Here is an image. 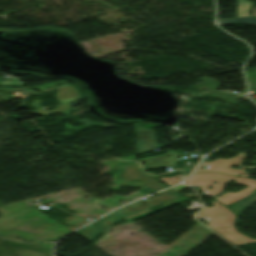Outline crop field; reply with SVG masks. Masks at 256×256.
<instances>
[{"mask_svg": "<svg viewBox=\"0 0 256 256\" xmlns=\"http://www.w3.org/2000/svg\"><path fill=\"white\" fill-rule=\"evenodd\" d=\"M138 164V163H137ZM138 166H139V169L142 171V169H141V167H140V165L138 164ZM149 175V174H148ZM151 176H153V177H155V178H157V177H159V176H155V175H151Z\"/></svg>", "mask_w": 256, "mask_h": 256, "instance_id": "obj_20", "label": "crop field"}, {"mask_svg": "<svg viewBox=\"0 0 256 256\" xmlns=\"http://www.w3.org/2000/svg\"><path fill=\"white\" fill-rule=\"evenodd\" d=\"M138 141L136 142L137 155L156 149L155 134L153 131L135 127Z\"/></svg>", "mask_w": 256, "mask_h": 256, "instance_id": "obj_5", "label": "crop field"}, {"mask_svg": "<svg viewBox=\"0 0 256 256\" xmlns=\"http://www.w3.org/2000/svg\"><path fill=\"white\" fill-rule=\"evenodd\" d=\"M231 179L237 180L236 182L249 185L248 187L244 188L243 190L237 193L228 192L227 194L217 198L215 197L222 191V187L224 184H218L216 192L200 189L207 193L209 196H213L216 200L222 202L225 205H228L252 192L253 189L256 188V181L244 178H237L233 176H228L224 174H217V173H200V174H192L189 179L187 180L186 184L189 186H204L207 187L209 181L214 182H229ZM212 187H208L211 189Z\"/></svg>", "mask_w": 256, "mask_h": 256, "instance_id": "obj_1", "label": "crop field"}, {"mask_svg": "<svg viewBox=\"0 0 256 256\" xmlns=\"http://www.w3.org/2000/svg\"><path fill=\"white\" fill-rule=\"evenodd\" d=\"M40 103H41L40 101L35 100V102L31 104V106H33L34 108L37 109L39 107Z\"/></svg>", "mask_w": 256, "mask_h": 256, "instance_id": "obj_14", "label": "crop field"}, {"mask_svg": "<svg viewBox=\"0 0 256 256\" xmlns=\"http://www.w3.org/2000/svg\"><path fill=\"white\" fill-rule=\"evenodd\" d=\"M186 197H193V196H197V195H194V194H188V195H184Z\"/></svg>", "mask_w": 256, "mask_h": 256, "instance_id": "obj_18", "label": "crop field"}, {"mask_svg": "<svg viewBox=\"0 0 256 256\" xmlns=\"http://www.w3.org/2000/svg\"><path fill=\"white\" fill-rule=\"evenodd\" d=\"M211 209H220V208H218V207H216L215 205H213L211 208H205V209H203V210H211ZM200 214V213H199Z\"/></svg>", "mask_w": 256, "mask_h": 256, "instance_id": "obj_16", "label": "crop field"}, {"mask_svg": "<svg viewBox=\"0 0 256 256\" xmlns=\"http://www.w3.org/2000/svg\"><path fill=\"white\" fill-rule=\"evenodd\" d=\"M243 158H245V157L243 155V152H241V153L237 154L236 158H233V159L224 160L222 158H218V159L213 160L210 163L202 161V163L199 164V166L197 167V169L194 172L217 171V172L229 173V174H233V175H237L238 173H243L241 176L246 177L249 174H251L252 172H250L247 175L244 174L245 172H243V167L240 164L241 160ZM202 165H208L207 169L201 170ZM232 165H238L242 169L229 168ZM224 168H226V170H224ZM249 168H255V167H249Z\"/></svg>", "mask_w": 256, "mask_h": 256, "instance_id": "obj_4", "label": "crop field"}, {"mask_svg": "<svg viewBox=\"0 0 256 256\" xmlns=\"http://www.w3.org/2000/svg\"><path fill=\"white\" fill-rule=\"evenodd\" d=\"M181 188H184V186L183 185L176 186V187L172 188V190L177 191V190H179Z\"/></svg>", "mask_w": 256, "mask_h": 256, "instance_id": "obj_15", "label": "crop field"}, {"mask_svg": "<svg viewBox=\"0 0 256 256\" xmlns=\"http://www.w3.org/2000/svg\"><path fill=\"white\" fill-rule=\"evenodd\" d=\"M223 210H211V211H202L201 215H197V218H207L208 225L221 234L224 238L230 241L232 244H245L249 242H256L249 237L239 233L234 229V215L224 206L218 204L217 202H211ZM231 226L232 228H220L215 229V227H227Z\"/></svg>", "mask_w": 256, "mask_h": 256, "instance_id": "obj_2", "label": "crop field"}, {"mask_svg": "<svg viewBox=\"0 0 256 256\" xmlns=\"http://www.w3.org/2000/svg\"><path fill=\"white\" fill-rule=\"evenodd\" d=\"M217 184H218V183H217ZM217 184L214 185V184H212V182H210L209 186H213V188H212L211 190H214V189L216 188ZM201 188H203V187H201ZM206 189H207V188H206Z\"/></svg>", "mask_w": 256, "mask_h": 256, "instance_id": "obj_17", "label": "crop field"}, {"mask_svg": "<svg viewBox=\"0 0 256 256\" xmlns=\"http://www.w3.org/2000/svg\"><path fill=\"white\" fill-rule=\"evenodd\" d=\"M180 177V180H176L175 178ZM184 179L183 175H177V176H172L170 178H161L160 181H165L168 185L176 184L181 182Z\"/></svg>", "mask_w": 256, "mask_h": 256, "instance_id": "obj_12", "label": "crop field"}, {"mask_svg": "<svg viewBox=\"0 0 256 256\" xmlns=\"http://www.w3.org/2000/svg\"><path fill=\"white\" fill-rule=\"evenodd\" d=\"M252 90H256V87L252 86Z\"/></svg>", "mask_w": 256, "mask_h": 256, "instance_id": "obj_21", "label": "crop field"}, {"mask_svg": "<svg viewBox=\"0 0 256 256\" xmlns=\"http://www.w3.org/2000/svg\"><path fill=\"white\" fill-rule=\"evenodd\" d=\"M169 192L170 191H168V190L160 192V193H158V196L155 197L154 199L144 201L147 204H145L143 206H140V207H137L135 209H133L131 207H128V206H125L120 211L108 215L110 218L99 221V222H97L95 224H92L88 227H90V228H92L95 231L100 233L105 226H107V225H109V224H111V223H113V222H115V221H117V220H119V219H121L125 216H128V215L134 214L136 212L154 207L156 205H159L160 202H165V201L177 199L176 197L168 196Z\"/></svg>", "mask_w": 256, "mask_h": 256, "instance_id": "obj_3", "label": "crop field"}, {"mask_svg": "<svg viewBox=\"0 0 256 256\" xmlns=\"http://www.w3.org/2000/svg\"><path fill=\"white\" fill-rule=\"evenodd\" d=\"M242 2H244V17H242ZM250 7V2L245 0H237V19L234 20H217L218 25L245 23L256 25V18H252L248 15L247 11Z\"/></svg>", "mask_w": 256, "mask_h": 256, "instance_id": "obj_7", "label": "crop field"}, {"mask_svg": "<svg viewBox=\"0 0 256 256\" xmlns=\"http://www.w3.org/2000/svg\"><path fill=\"white\" fill-rule=\"evenodd\" d=\"M57 90L56 97L61 104L83 99L73 86L58 88ZM70 96L74 98H70Z\"/></svg>", "mask_w": 256, "mask_h": 256, "instance_id": "obj_9", "label": "crop field"}, {"mask_svg": "<svg viewBox=\"0 0 256 256\" xmlns=\"http://www.w3.org/2000/svg\"><path fill=\"white\" fill-rule=\"evenodd\" d=\"M76 233H78L79 235H81V236H83V237H85V238H87L89 240L94 238L97 234H99V233L93 231L92 229H90L88 227H85V228L79 230Z\"/></svg>", "mask_w": 256, "mask_h": 256, "instance_id": "obj_10", "label": "crop field"}, {"mask_svg": "<svg viewBox=\"0 0 256 256\" xmlns=\"http://www.w3.org/2000/svg\"><path fill=\"white\" fill-rule=\"evenodd\" d=\"M69 108H70V106L68 104V105L58 106L57 109L52 110V111H44V110L39 109L35 113L46 116V115H49V114H52V113H55V112H59V111H62V110H66V109H69Z\"/></svg>", "mask_w": 256, "mask_h": 256, "instance_id": "obj_11", "label": "crop field"}, {"mask_svg": "<svg viewBox=\"0 0 256 256\" xmlns=\"http://www.w3.org/2000/svg\"><path fill=\"white\" fill-rule=\"evenodd\" d=\"M238 97H239V95L236 96V98H238Z\"/></svg>", "mask_w": 256, "mask_h": 256, "instance_id": "obj_22", "label": "crop field"}, {"mask_svg": "<svg viewBox=\"0 0 256 256\" xmlns=\"http://www.w3.org/2000/svg\"><path fill=\"white\" fill-rule=\"evenodd\" d=\"M202 208V205H200L197 202H192L191 207L185 208V210H192V209H199Z\"/></svg>", "mask_w": 256, "mask_h": 256, "instance_id": "obj_13", "label": "crop field"}, {"mask_svg": "<svg viewBox=\"0 0 256 256\" xmlns=\"http://www.w3.org/2000/svg\"><path fill=\"white\" fill-rule=\"evenodd\" d=\"M169 154L171 156L168 158L164 157L165 155H161L153 158L142 159L139 161V163H143V162L148 163L150 166H145V167L150 169H159L166 166L174 167L173 163H176L175 158L178 155L175 154L174 151H170Z\"/></svg>", "mask_w": 256, "mask_h": 256, "instance_id": "obj_8", "label": "crop field"}, {"mask_svg": "<svg viewBox=\"0 0 256 256\" xmlns=\"http://www.w3.org/2000/svg\"><path fill=\"white\" fill-rule=\"evenodd\" d=\"M120 177L123 178L125 182L133 179H139L140 181H142L144 184H146L148 187H150L152 190H155V191L166 188L160 185L158 181L155 180L154 178L148 177L140 173L135 165L124 169Z\"/></svg>", "mask_w": 256, "mask_h": 256, "instance_id": "obj_6", "label": "crop field"}, {"mask_svg": "<svg viewBox=\"0 0 256 256\" xmlns=\"http://www.w3.org/2000/svg\"><path fill=\"white\" fill-rule=\"evenodd\" d=\"M93 212H95V213H97V212L105 213V211H103V210H96V211H93Z\"/></svg>", "mask_w": 256, "mask_h": 256, "instance_id": "obj_19", "label": "crop field"}]
</instances>
